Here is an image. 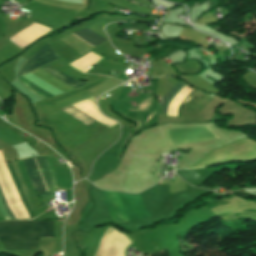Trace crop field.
I'll return each instance as SVG.
<instances>
[{
	"instance_id": "5a996713",
	"label": "crop field",
	"mask_w": 256,
	"mask_h": 256,
	"mask_svg": "<svg viewBox=\"0 0 256 256\" xmlns=\"http://www.w3.org/2000/svg\"><path fill=\"white\" fill-rule=\"evenodd\" d=\"M150 256H168L167 255V251H161V252H157V253H154V254H150Z\"/></svg>"
},
{
	"instance_id": "412701ff",
	"label": "crop field",
	"mask_w": 256,
	"mask_h": 256,
	"mask_svg": "<svg viewBox=\"0 0 256 256\" xmlns=\"http://www.w3.org/2000/svg\"><path fill=\"white\" fill-rule=\"evenodd\" d=\"M58 58L60 57L48 43L25 62L18 74V77L20 78Z\"/></svg>"
},
{
	"instance_id": "f4fd0767",
	"label": "crop field",
	"mask_w": 256,
	"mask_h": 256,
	"mask_svg": "<svg viewBox=\"0 0 256 256\" xmlns=\"http://www.w3.org/2000/svg\"><path fill=\"white\" fill-rule=\"evenodd\" d=\"M106 207L113 220L117 222L128 221V217L116 192H108L100 190Z\"/></svg>"
},
{
	"instance_id": "8a807250",
	"label": "crop field",
	"mask_w": 256,
	"mask_h": 256,
	"mask_svg": "<svg viewBox=\"0 0 256 256\" xmlns=\"http://www.w3.org/2000/svg\"><path fill=\"white\" fill-rule=\"evenodd\" d=\"M54 221H13L0 223V242L6 250H36L38 236L53 237Z\"/></svg>"
},
{
	"instance_id": "dd49c442",
	"label": "crop field",
	"mask_w": 256,
	"mask_h": 256,
	"mask_svg": "<svg viewBox=\"0 0 256 256\" xmlns=\"http://www.w3.org/2000/svg\"><path fill=\"white\" fill-rule=\"evenodd\" d=\"M72 34L76 35L77 37L81 38L82 40H84L85 42L89 43L90 45H92L94 47L97 46L98 44L106 41L102 37L98 36L97 34L91 32L87 29L77 31Z\"/></svg>"
},
{
	"instance_id": "e52e79f7",
	"label": "crop field",
	"mask_w": 256,
	"mask_h": 256,
	"mask_svg": "<svg viewBox=\"0 0 256 256\" xmlns=\"http://www.w3.org/2000/svg\"><path fill=\"white\" fill-rule=\"evenodd\" d=\"M61 110L88 126L94 121L87 115L83 114L82 112H80L79 110H77L71 106L61 109Z\"/></svg>"
},
{
	"instance_id": "d8731c3e",
	"label": "crop field",
	"mask_w": 256,
	"mask_h": 256,
	"mask_svg": "<svg viewBox=\"0 0 256 256\" xmlns=\"http://www.w3.org/2000/svg\"><path fill=\"white\" fill-rule=\"evenodd\" d=\"M184 87V84L181 82H177L172 89L169 91V93L166 95V97L163 99L162 104H163V112L167 114V109L172 101V99L181 91V89Z\"/></svg>"
},
{
	"instance_id": "34b2d1b8",
	"label": "crop field",
	"mask_w": 256,
	"mask_h": 256,
	"mask_svg": "<svg viewBox=\"0 0 256 256\" xmlns=\"http://www.w3.org/2000/svg\"><path fill=\"white\" fill-rule=\"evenodd\" d=\"M20 163H21V165L24 169V172H25V174L28 178V181H29L32 189L38 190V189L43 188L45 185L43 186L44 183L42 184L43 180L41 181L42 178L40 179V176H39L40 173L38 174V171H37L38 168L36 169V166L34 164L33 159L31 158V159H27V160H22V161H20ZM0 193H1L2 199L4 201V204L6 206V209L8 211L10 219L15 220L14 219L15 216L13 217V214H12V211H11L12 208L10 209V206H9L8 201H7V198H6V195L4 193L1 182H0ZM1 196H0L1 211L4 215V217L6 218V220H10L9 217H8L7 211L5 209V206L3 204V201L1 199Z\"/></svg>"
},
{
	"instance_id": "ac0d7876",
	"label": "crop field",
	"mask_w": 256,
	"mask_h": 256,
	"mask_svg": "<svg viewBox=\"0 0 256 256\" xmlns=\"http://www.w3.org/2000/svg\"><path fill=\"white\" fill-rule=\"evenodd\" d=\"M171 145L194 143L203 140H212L217 137L207 127L167 129Z\"/></svg>"
}]
</instances>
